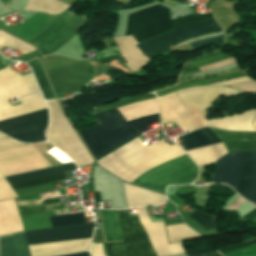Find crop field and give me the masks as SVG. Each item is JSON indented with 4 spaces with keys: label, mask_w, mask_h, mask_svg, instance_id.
Masks as SVG:
<instances>
[{
    "label": "crop field",
    "mask_w": 256,
    "mask_h": 256,
    "mask_svg": "<svg viewBox=\"0 0 256 256\" xmlns=\"http://www.w3.org/2000/svg\"><path fill=\"white\" fill-rule=\"evenodd\" d=\"M213 131L229 152L256 151V132ZM215 165L211 183H226L256 205V152L229 153L215 161Z\"/></svg>",
    "instance_id": "1"
},
{
    "label": "crop field",
    "mask_w": 256,
    "mask_h": 256,
    "mask_svg": "<svg viewBox=\"0 0 256 256\" xmlns=\"http://www.w3.org/2000/svg\"><path fill=\"white\" fill-rule=\"evenodd\" d=\"M142 143L137 138L97 163L117 177L132 183L145 171L185 154L177 144L171 146L163 140L149 146Z\"/></svg>",
    "instance_id": "2"
},
{
    "label": "crop field",
    "mask_w": 256,
    "mask_h": 256,
    "mask_svg": "<svg viewBox=\"0 0 256 256\" xmlns=\"http://www.w3.org/2000/svg\"><path fill=\"white\" fill-rule=\"evenodd\" d=\"M99 126L79 132L88 149L99 160L159 121L158 114L127 122L117 109L92 115Z\"/></svg>",
    "instance_id": "3"
},
{
    "label": "crop field",
    "mask_w": 256,
    "mask_h": 256,
    "mask_svg": "<svg viewBox=\"0 0 256 256\" xmlns=\"http://www.w3.org/2000/svg\"><path fill=\"white\" fill-rule=\"evenodd\" d=\"M94 223L27 231L28 246L91 236ZM90 238L29 247L31 256H57L87 250Z\"/></svg>",
    "instance_id": "4"
},
{
    "label": "crop field",
    "mask_w": 256,
    "mask_h": 256,
    "mask_svg": "<svg viewBox=\"0 0 256 256\" xmlns=\"http://www.w3.org/2000/svg\"><path fill=\"white\" fill-rule=\"evenodd\" d=\"M39 91L32 74L20 77L10 68L0 71V113L6 118L45 109L40 93L20 97L22 104L11 107L8 100L16 96ZM0 114V120H4Z\"/></svg>",
    "instance_id": "5"
},
{
    "label": "crop field",
    "mask_w": 256,
    "mask_h": 256,
    "mask_svg": "<svg viewBox=\"0 0 256 256\" xmlns=\"http://www.w3.org/2000/svg\"><path fill=\"white\" fill-rule=\"evenodd\" d=\"M212 14L191 15L171 20L170 11L164 6L136 12L129 15L127 28L124 35L132 34L139 43L153 38L165 31L187 23L211 18Z\"/></svg>",
    "instance_id": "6"
},
{
    "label": "crop field",
    "mask_w": 256,
    "mask_h": 256,
    "mask_svg": "<svg viewBox=\"0 0 256 256\" xmlns=\"http://www.w3.org/2000/svg\"><path fill=\"white\" fill-rule=\"evenodd\" d=\"M47 104L50 110V125L46 137L50 143L69 155L78 167L90 164L92 159L64 117L57 101H47Z\"/></svg>",
    "instance_id": "7"
},
{
    "label": "crop field",
    "mask_w": 256,
    "mask_h": 256,
    "mask_svg": "<svg viewBox=\"0 0 256 256\" xmlns=\"http://www.w3.org/2000/svg\"><path fill=\"white\" fill-rule=\"evenodd\" d=\"M197 170V166L185 154L144 173L133 184L164 192L167 185L193 182Z\"/></svg>",
    "instance_id": "8"
},
{
    "label": "crop field",
    "mask_w": 256,
    "mask_h": 256,
    "mask_svg": "<svg viewBox=\"0 0 256 256\" xmlns=\"http://www.w3.org/2000/svg\"><path fill=\"white\" fill-rule=\"evenodd\" d=\"M123 243L129 256H156L137 216L126 210L117 211ZM122 242L106 243L109 256H128Z\"/></svg>",
    "instance_id": "9"
},
{
    "label": "crop field",
    "mask_w": 256,
    "mask_h": 256,
    "mask_svg": "<svg viewBox=\"0 0 256 256\" xmlns=\"http://www.w3.org/2000/svg\"><path fill=\"white\" fill-rule=\"evenodd\" d=\"M210 24H213L212 26ZM221 31L214 19L191 23L176 28L162 36L146 41L137 47L150 59L169 50V46L201 34Z\"/></svg>",
    "instance_id": "10"
},
{
    "label": "crop field",
    "mask_w": 256,
    "mask_h": 256,
    "mask_svg": "<svg viewBox=\"0 0 256 256\" xmlns=\"http://www.w3.org/2000/svg\"><path fill=\"white\" fill-rule=\"evenodd\" d=\"M48 124L47 110H41L0 122V131L26 143L45 141Z\"/></svg>",
    "instance_id": "11"
},
{
    "label": "crop field",
    "mask_w": 256,
    "mask_h": 256,
    "mask_svg": "<svg viewBox=\"0 0 256 256\" xmlns=\"http://www.w3.org/2000/svg\"><path fill=\"white\" fill-rule=\"evenodd\" d=\"M50 166L33 145L0 151V173L3 177Z\"/></svg>",
    "instance_id": "12"
},
{
    "label": "crop field",
    "mask_w": 256,
    "mask_h": 256,
    "mask_svg": "<svg viewBox=\"0 0 256 256\" xmlns=\"http://www.w3.org/2000/svg\"><path fill=\"white\" fill-rule=\"evenodd\" d=\"M84 19V17L64 13L30 42L37 45L42 56L51 54L76 34L74 29Z\"/></svg>",
    "instance_id": "13"
},
{
    "label": "crop field",
    "mask_w": 256,
    "mask_h": 256,
    "mask_svg": "<svg viewBox=\"0 0 256 256\" xmlns=\"http://www.w3.org/2000/svg\"><path fill=\"white\" fill-rule=\"evenodd\" d=\"M163 123L175 122L183 130L193 131L206 123L197 109L184 108L175 93L158 98Z\"/></svg>",
    "instance_id": "14"
},
{
    "label": "crop field",
    "mask_w": 256,
    "mask_h": 256,
    "mask_svg": "<svg viewBox=\"0 0 256 256\" xmlns=\"http://www.w3.org/2000/svg\"><path fill=\"white\" fill-rule=\"evenodd\" d=\"M177 96L185 107L194 106L204 119H208L207 110L214 99L224 95H236L233 89L193 87L176 92Z\"/></svg>",
    "instance_id": "15"
},
{
    "label": "crop field",
    "mask_w": 256,
    "mask_h": 256,
    "mask_svg": "<svg viewBox=\"0 0 256 256\" xmlns=\"http://www.w3.org/2000/svg\"><path fill=\"white\" fill-rule=\"evenodd\" d=\"M138 217L150 239L157 256L184 253L182 243L168 245L163 222L151 223L144 208H136Z\"/></svg>",
    "instance_id": "16"
},
{
    "label": "crop field",
    "mask_w": 256,
    "mask_h": 256,
    "mask_svg": "<svg viewBox=\"0 0 256 256\" xmlns=\"http://www.w3.org/2000/svg\"><path fill=\"white\" fill-rule=\"evenodd\" d=\"M255 115L256 110L253 109L234 115L205 121L207 125L212 128L230 131H255L254 127L252 126Z\"/></svg>",
    "instance_id": "17"
},
{
    "label": "crop field",
    "mask_w": 256,
    "mask_h": 256,
    "mask_svg": "<svg viewBox=\"0 0 256 256\" xmlns=\"http://www.w3.org/2000/svg\"><path fill=\"white\" fill-rule=\"evenodd\" d=\"M123 185L128 208L161 204L166 200L164 195L125 183Z\"/></svg>",
    "instance_id": "18"
},
{
    "label": "crop field",
    "mask_w": 256,
    "mask_h": 256,
    "mask_svg": "<svg viewBox=\"0 0 256 256\" xmlns=\"http://www.w3.org/2000/svg\"><path fill=\"white\" fill-rule=\"evenodd\" d=\"M128 62L130 70L142 68L149 60L134 46L138 44L131 36L113 39Z\"/></svg>",
    "instance_id": "19"
},
{
    "label": "crop field",
    "mask_w": 256,
    "mask_h": 256,
    "mask_svg": "<svg viewBox=\"0 0 256 256\" xmlns=\"http://www.w3.org/2000/svg\"><path fill=\"white\" fill-rule=\"evenodd\" d=\"M21 230L22 226L14 201L0 202V236Z\"/></svg>",
    "instance_id": "20"
},
{
    "label": "crop field",
    "mask_w": 256,
    "mask_h": 256,
    "mask_svg": "<svg viewBox=\"0 0 256 256\" xmlns=\"http://www.w3.org/2000/svg\"><path fill=\"white\" fill-rule=\"evenodd\" d=\"M1 256H30L23 231L0 237Z\"/></svg>",
    "instance_id": "21"
},
{
    "label": "crop field",
    "mask_w": 256,
    "mask_h": 256,
    "mask_svg": "<svg viewBox=\"0 0 256 256\" xmlns=\"http://www.w3.org/2000/svg\"><path fill=\"white\" fill-rule=\"evenodd\" d=\"M181 138L185 151L221 142L209 128L195 130Z\"/></svg>",
    "instance_id": "22"
},
{
    "label": "crop field",
    "mask_w": 256,
    "mask_h": 256,
    "mask_svg": "<svg viewBox=\"0 0 256 256\" xmlns=\"http://www.w3.org/2000/svg\"><path fill=\"white\" fill-rule=\"evenodd\" d=\"M192 160L198 165L207 164L217 160L218 158L225 155L227 152L223 143L199 148L186 152Z\"/></svg>",
    "instance_id": "23"
},
{
    "label": "crop field",
    "mask_w": 256,
    "mask_h": 256,
    "mask_svg": "<svg viewBox=\"0 0 256 256\" xmlns=\"http://www.w3.org/2000/svg\"><path fill=\"white\" fill-rule=\"evenodd\" d=\"M118 110L127 121L149 114L158 113L156 98L140 101L132 105L118 108Z\"/></svg>",
    "instance_id": "24"
},
{
    "label": "crop field",
    "mask_w": 256,
    "mask_h": 256,
    "mask_svg": "<svg viewBox=\"0 0 256 256\" xmlns=\"http://www.w3.org/2000/svg\"><path fill=\"white\" fill-rule=\"evenodd\" d=\"M106 242L122 241L116 211L100 210Z\"/></svg>",
    "instance_id": "25"
},
{
    "label": "crop field",
    "mask_w": 256,
    "mask_h": 256,
    "mask_svg": "<svg viewBox=\"0 0 256 256\" xmlns=\"http://www.w3.org/2000/svg\"><path fill=\"white\" fill-rule=\"evenodd\" d=\"M229 57H231V56L223 53L220 50V51L205 55L203 57L193 59L186 64L181 75H187V74H193V73L200 72V70L197 67L207 65L210 63H214V62H218V61H221V60L229 58Z\"/></svg>",
    "instance_id": "26"
},
{
    "label": "crop field",
    "mask_w": 256,
    "mask_h": 256,
    "mask_svg": "<svg viewBox=\"0 0 256 256\" xmlns=\"http://www.w3.org/2000/svg\"><path fill=\"white\" fill-rule=\"evenodd\" d=\"M52 215L49 211L20 216L24 231L51 227L48 216Z\"/></svg>",
    "instance_id": "27"
},
{
    "label": "crop field",
    "mask_w": 256,
    "mask_h": 256,
    "mask_svg": "<svg viewBox=\"0 0 256 256\" xmlns=\"http://www.w3.org/2000/svg\"><path fill=\"white\" fill-rule=\"evenodd\" d=\"M76 168H77V166L74 163H71V164L52 167V168H48V169L38 170V171H34V172L24 173V174H20V175L10 176V177H6L5 179L8 183H11V182H15V181H20V180L39 177V176H43V175L53 174V173H57V172L72 170V169H76Z\"/></svg>",
    "instance_id": "28"
},
{
    "label": "crop field",
    "mask_w": 256,
    "mask_h": 256,
    "mask_svg": "<svg viewBox=\"0 0 256 256\" xmlns=\"http://www.w3.org/2000/svg\"><path fill=\"white\" fill-rule=\"evenodd\" d=\"M27 64L32 68L45 100L54 99L55 97L52 93V90L43 72V69L41 67L39 60L38 59L32 60L27 62Z\"/></svg>",
    "instance_id": "29"
},
{
    "label": "crop field",
    "mask_w": 256,
    "mask_h": 256,
    "mask_svg": "<svg viewBox=\"0 0 256 256\" xmlns=\"http://www.w3.org/2000/svg\"><path fill=\"white\" fill-rule=\"evenodd\" d=\"M170 243L200 237L197 233L185 226V224L166 226Z\"/></svg>",
    "instance_id": "30"
},
{
    "label": "crop field",
    "mask_w": 256,
    "mask_h": 256,
    "mask_svg": "<svg viewBox=\"0 0 256 256\" xmlns=\"http://www.w3.org/2000/svg\"><path fill=\"white\" fill-rule=\"evenodd\" d=\"M64 179H67V178H66L65 173L62 172V173H58V174L48 175V176L34 178V179H30V180H25V181H20V182H16V183H11L10 186L13 188V190H16V189L26 188V187H30V186L45 184V183L58 181V180H64Z\"/></svg>",
    "instance_id": "31"
},
{
    "label": "crop field",
    "mask_w": 256,
    "mask_h": 256,
    "mask_svg": "<svg viewBox=\"0 0 256 256\" xmlns=\"http://www.w3.org/2000/svg\"><path fill=\"white\" fill-rule=\"evenodd\" d=\"M244 75L245 74L243 72H240V73L226 75V76H222V77H218V78H212V79H206V80H201V81L192 82V83L180 84V85H176V86H174L172 88H169V89L158 91V92H156V94H157L158 97H160L162 95H166V94H168L170 92H173V91H176V90H180V89H183V88L193 87V86H200L202 84L214 83V82L222 81V80H225V79H229V78H233V77H239V76H244Z\"/></svg>",
    "instance_id": "32"
},
{
    "label": "crop field",
    "mask_w": 256,
    "mask_h": 256,
    "mask_svg": "<svg viewBox=\"0 0 256 256\" xmlns=\"http://www.w3.org/2000/svg\"><path fill=\"white\" fill-rule=\"evenodd\" d=\"M49 218L52 227L87 223L83 212Z\"/></svg>",
    "instance_id": "33"
},
{
    "label": "crop field",
    "mask_w": 256,
    "mask_h": 256,
    "mask_svg": "<svg viewBox=\"0 0 256 256\" xmlns=\"http://www.w3.org/2000/svg\"><path fill=\"white\" fill-rule=\"evenodd\" d=\"M7 45H9L14 50L18 48L23 54L35 50L32 46L0 31V48Z\"/></svg>",
    "instance_id": "34"
},
{
    "label": "crop field",
    "mask_w": 256,
    "mask_h": 256,
    "mask_svg": "<svg viewBox=\"0 0 256 256\" xmlns=\"http://www.w3.org/2000/svg\"><path fill=\"white\" fill-rule=\"evenodd\" d=\"M192 219H194L196 222H198L203 230L215 228L214 220L215 218L213 216H208L196 209L192 211V213L188 216Z\"/></svg>",
    "instance_id": "35"
},
{
    "label": "crop field",
    "mask_w": 256,
    "mask_h": 256,
    "mask_svg": "<svg viewBox=\"0 0 256 256\" xmlns=\"http://www.w3.org/2000/svg\"><path fill=\"white\" fill-rule=\"evenodd\" d=\"M154 97H155L154 94H148V95H143V96H139V97H136V98H132V99H129V100H126V101H122V102H119L117 104H113V105H109V106H103V107H96V108H93V109H94L95 113H97V112H101V111L121 107V106H124V105L135 103V102L140 101V100L150 99V98H154Z\"/></svg>",
    "instance_id": "36"
},
{
    "label": "crop field",
    "mask_w": 256,
    "mask_h": 256,
    "mask_svg": "<svg viewBox=\"0 0 256 256\" xmlns=\"http://www.w3.org/2000/svg\"><path fill=\"white\" fill-rule=\"evenodd\" d=\"M17 195L8 185L4 178L0 179V200L16 198Z\"/></svg>",
    "instance_id": "37"
},
{
    "label": "crop field",
    "mask_w": 256,
    "mask_h": 256,
    "mask_svg": "<svg viewBox=\"0 0 256 256\" xmlns=\"http://www.w3.org/2000/svg\"><path fill=\"white\" fill-rule=\"evenodd\" d=\"M229 86L236 87L244 92H256V81L254 80L242 82V83H236Z\"/></svg>",
    "instance_id": "38"
},
{
    "label": "crop field",
    "mask_w": 256,
    "mask_h": 256,
    "mask_svg": "<svg viewBox=\"0 0 256 256\" xmlns=\"http://www.w3.org/2000/svg\"><path fill=\"white\" fill-rule=\"evenodd\" d=\"M223 36H219V37H216V38H212V39H208V40H204V41H200V42H196V43H191L190 45L192 46V48L194 50H196V49L203 48V47H206V46H209L211 44H214V43H217V42L221 41Z\"/></svg>",
    "instance_id": "39"
},
{
    "label": "crop field",
    "mask_w": 256,
    "mask_h": 256,
    "mask_svg": "<svg viewBox=\"0 0 256 256\" xmlns=\"http://www.w3.org/2000/svg\"><path fill=\"white\" fill-rule=\"evenodd\" d=\"M232 63H236V61L233 57H231L229 59H226L224 61L218 62V63H214V64H210V65H207V66L199 67V69L201 71L216 69V68H220L222 66L229 65V64H232Z\"/></svg>",
    "instance_id": "40"
},
{
    "label": "crop field",
    "mask_w": 256,
    "mask_h": 256,
    "mask_svg": "<svg viewBox=\"0 0 256 256\" xmlns=\"http://www.w3.org/2000/svg\"><path fill=\"white\" fill-rule=\"evenodd\" d=\"M255 243H256V238L249 241V242L241 243V244L234 245V246H231V247H228V248H225V249H222V250H217V251H219L221 254H223V253H227V252H231V251H234V250L245 248V247L253 245Z\"/></svg>",
    "instance_id": "41"
},
{
    "label": "crop field",
    "mask_w": 256,
    "mask_h": 256,
    "mask_svg": "<svg viewBox=\"0 0 256 256\" xmlns=\"http://www.w3.org/2000/svg\"><path fill=\"white\" fill-rule=\"evenodd\" d=\"M22 145H27V144H22V143L14 141V140H11L9 138L0 140V150L17 147V146H22Z\"/></svg>",
    "instance_id": "42"
},
{
    "label": "crop field",
    "mask_w": 256,
    "mask_h": 256,
    "mask_svg": "<svg viewBox=\"0 0 256 256\" xmlns=\"http://www.w3.org/2000/svg\"><path fill=\"white\" fill-rule=\"evenodd\" d=\"M90 252L92 256H105L103 247L101 244H92L90 248Z\"/></svg>",
    "instance_id": "43"
},
{
    "label": "crop field",
    "mask_w": 256,
    "mask_h": 256,
    "mask_svg": "<svg viewBox=\"0 0 256 256\" xmlns=\"http://www.w3.org/2000/svg\"><path fill=\"white\" fill-rule=\"evenodd\" d=\"M247 80H251V79L249 77L245 76V77H241V78H237V79H233V80H229V81H225V82H220V83H214V84L224 86L227 84H232V83L247 81Z\"/></svg>",
    "instance_id": "44"
},
{
    "label": "crop field",
    "mask_w": 256,
    "mask_h": 256,
    "mask_svg": "<svg viewBox=\"0 0 256 256\" xmlns=\"http://www.w3.org/2000/svg\"><path fill=\"white\" fill-rule=\"evenodd\" d=\"M37 56L38 55H37L36 51H34V52L28 53L26 55L20 56L16 60L27 62V61H29V60L37 57Z\"/></svg>",
    "instance_id": "45"
},
{
    "label": "crop field",
    "mask_w": 256,
    "mask_h": 256,
    "mask_svg": "<svg viewBox=\"0 0 256 256\" xmlns=\"http://www.w3.org/2000/svg\"><path fill=\"white\" fill-rule=\"evenodd\" d=\"M245 200L239 197L234 203H232L228 209L234 211L238 206H240Z\"/></svg>",
    "instance_id": "46"
},
{
    "label": "crop field",
    "mask_w": 256,
    "mask_h": 256,
    "mask_svg": "<svg viewBox=\"0 0 256 256\" xmlns=\"http://www.w3.org/2000/svg\"><path fill=\"white\" fill-rule=\"evenodd\" d=\"M256 216V209H254L253 211H251L250 213H248L247 215H245L244 217H242L241 219L244 220H251Z\"/></svg>",
    "instance_id": "47"
},
{
    "label": "crop field",
    "mask_w": 256,
    "mask_h": 256,
    "mask_svg": "<svg viewBox=\"0 0 256 256\" xmlns=\"http://www.w3.org/2000/svg\"><path fill=\"white\" fill-rule=\"evenodd\" d=\"M211 254H217L216 251L214 252H204V253H198V254H193V255H188V256H206V255H211Z\"/></svg>",
    "instance_id": "48"
},
{
    "label": "crop field",
    "mask_w": 256,
    "mask_h": 256,
    "mask_svg": "<svg viewBox=\"0 0 256 256\" xmlns=\"http://www.w3.org/2000/svg\"><path fill=\"white\" fill-rule=\"evenodd\" d=\"M68 256H89L88 252L84 253H78V254H73V255H68Z\"/></svg>",
    "instance_id": "49"
},
{
    "label": "crop field",
    "mask_w": 256,
    "mask_h": 256,
    "mask_svg": "<svg viewBox=\"0 0 256 256\" xmlns=\"http://www.w3.org/2000/svg\"><path fill=\"white\" fill-rule=\"evenodd\" d=\"M62 106V109L69 107L64 100H59Z\"/></svg>",
    "instance_id": "50"
},
{
    "label": "crop field",
    "mask_w": 256,
    "mask_h": 256,
    "mask_svg": "<svg viewBox=\"0 0 256 256\" xmlns=\"http://www.w3.org/2000/svg\"><path fill=\"white\" fill-rule=\"evenodd\" d=\"M60 1H63L69 5H71L75 0H60Z\"/></svg>",
    "instance_id": "51"
},
{
    "label": "crop field",
    "mask_w": 256,
    "mask_h": 256,
    "mask_svg": "<svg viewBox=\"0 0 256 256\" xmlns=\"http://www.w3.org/2000/svg\"><path fill=\"white\" fill-rule=\"evenodd\" d=\"M6 66H4L1 62H0V69L5 68Z\"/></svg>",
    "instance_id": "52"
},
{
    "label": "crop field",
    "mask_w": 256,
    "mask_h": 256,
    "mask_svg": "<svg viewBox=\"0 0 256 256\" xmlns=\"http://www.w3.org/2000/svg\"><path fill=\"white\" fill-rule=\"evenodd\" d=\"M1 138H6V136H4L3 134L0 133V139Z\"/></svg>",
    "instance_id": "53"
},
{
    "label": "crop field",
    "mask_w": 256,
    "mask_h": 256,
    "mask_svg": "<svg viewBox=\"0 0 256 256\" xmlns=\"http://www.w3.org/2000/svg\"><path fill=\"white\" fill-rule=\"evenodd\" d=\"M177 1L180 2V3H182V2L187 1V0H177ZM177 1H176V2H177Z\"/></svg>",
    "instance_id": "54"
},
{
    "label": "crop field",
    "mask_w": 256,
    "mask_h": 256,
    "mask_svg": "<svg viewBox=\"0 0 256 256\" xmlns=\"http://www.w3.org/2000/svg\"><path fill=\"white\" fill-rule=\"evenodd\" d=\"M254 127L256 128V118L254 120V123H253Z\"/></svg>",
    "instance_id": "55"
},
{
    "label": "crop field",
    "mask_w": 256,
    "mask_h": 256,
    "mask_svg": "<svg viewBox=\"0 0 256 256\" xmlns=\"http://www.w3.org/2000/svg\"><path fill=\"white\" fill-rule=\"evenodd\" d=\"M211 256H221L220 254H217V255H211Z\"/></svg>",
    "instance_id": "56"
}]
</instances>
